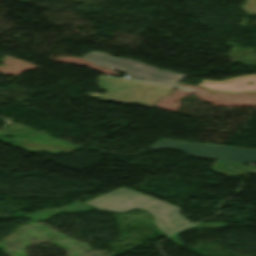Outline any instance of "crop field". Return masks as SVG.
<instances>
[{"label":"crop field","mask_w":256,"mask_h":256,"mask_svg":"<svg viewBox=\"0 0 256 256\" xmlns=\"http://www.w3.org/2000/svg\"><path fill=\"white\" fill-rule=\"evenodd\" d=\"M172 148L186 152L188 155L236 162L250 163L256 162V150L218 146L211 144L182 143L163 139L149 147V149Z\"/></svg>","instance_id":"4"},{"label":"crop field","mask_w":256,"mask_h":256,"mask_svg":"<svg viewBox=\"0 0 256 256\" xmlns=\"http://www.w3.org/2000/svg\"><path fill=\"white\" fill-rule=\"evenodd\" d=\"M99 85L107 90L105 95L88 93L87 96L126 103L135 101L151 107L171 89L170 86L104 76H99Z\"/></svg>","instance_id":"2"},{"label":"crop field","mask_w":256,"mask_h":256,"mask_svg":"<svg viewBox=\"0 0 256 256\" xmlns=\"http://www.w3.org/2000/svg\"><path fill=\"white\" fill-rule=\"evenodd\" d=\"M82 58L100 66L125 73L135 79L174 85L185 77V75L158 70L137 61L114 58L100 52H91Z\"/></svg>","instance_id":"3"},{"label":"crop field","mask_w":256,"mask_h":256,"mask_svg":"<svg viewBox=\"0 0 256 256\" xmlns=\"http://www.w3.org/2000/svg\"><path fill=\"white\" fill-rule=\"evenodd\" d=\"M101 210L125 211L141 208L155 218V225L165 234L192 225L179 215L181 208L121 187L98 198L86 202Z\"/></svg>","instance_id":"1"},{"label":"crop field","mask_w":256,"mask_h":256,"mask_svg":"<svg viewBox=\"0 0 256 256\" xmlns=\"http://www.w3.org/2000/svg\"><path fill=\"white\" fill-rule=\"evenodd\" d=\"M226 227V224L225 223H199V224H196L190 228H187L185 230H188V229H198V228H224ZM185 230H182L172 236L169 237L170 240H172L176 245H178L179 247H182L184 246L180 240L178 239L177 235Z\"/></svg>","instance_id":"7"},{"label":"crop field","mask_w":256,"mask_h":256,"mask_svg":"<svg viewBox=\"0 0 256 256\" xmlns=\"http://www.w3.org/2000/svg\"><path fill=\"white\" fill-rule=\"evenodd\" d=\"M247 81H252V85H246ZM214 81L203 79L199 86L207 88L212 91L227 93V94H240L247 92H256V74L247 75L243 77L233 78L224 81Z\"/></svg>","instance_id":"5"},{"label":"crop field","mask_w":256,"mask_h":256,"mask_svg":"<svg viewBox=\"0 0 256 256\" xmlns=\"http://www.w3.org/2000/svg\"><path fill=\"white\" fill-rule=\"evenodd\" d=\"M227 166H231V168H228ZM235 166H240V170H234ZM210 171L225 175V176H241L245 175L252 170L246 168L243 165L236 164V163H229V162H222L218 161L211 169Z\"/></svg>","instance_id":"6"},{"label":"crop field","mask_w":256,"mask_h":256,"mask_svg":"<svg viewBox=\"0 0 256 256\" xmlns=\"http://www.w3.org/2000/svg\"><path fill=\"white\" fill-rule=\"evenodd\" d=\"M242 8L246 13L256 15V0H247Z\"/></svg>","instance_id":"8"}]
</instances>
